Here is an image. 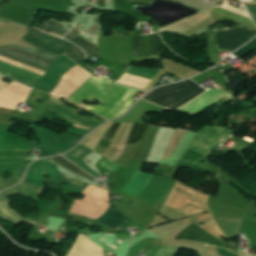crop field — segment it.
Masks as SVG:
<instances>
[{"instance_id": "obj_36", "label": "crop field", "mask_w": 256, "mask_h": 256, "mask_svg": "<svg viewBox=\"0 0 256 256\" xmlns=\"http://www.w3.org/2000/svg\"><path fill=\"white\" fill-rule=\"evenodd\" d=\"M0 21H4V22H7V23H11V24H12L11 21H7V20H4V19H0Z\"/></svg>"}, {"instance_id": "obj_34", "label": "crop field", "mask_w": 256, "mask_h": 256, "mask_svg": "<svg viewBox=\"0 0 256 256\" xmlns=\"http://www.w3.org/2000/svg\"><path fill=\"white\" fill-rule=\"evenodd\" d=\"M114 32H116V33H122V34H125V35H127V36L130 35V34H127V33H125V32L118 31V30H114Z\"/></svg>"}, {"instance_id": "obj_21", "label": "crop field", "mask_w": 256, "mask_h": 256, "mask_svg": "<svg viewBox=\"0 0 256 256\" xmlns=\"http://www.w3.org/2000/svg\"><path fill=\"white\" fill-rule=\"evenodd\" d=\"M64 54L71 58L77 64L85 60V55L83 51L74 45L70 49H68Z\"/></svg>"}, {"instance_id": "obj_29", "label": "crop field", "mask_w": 256, "mask_h": 256, "mask_svg": "<svg viewBox=\"0 0 256 256\" xmlns=\"http://www.w3.org/2000/svg\"><path fill=\"white\" fill-rule=\"evenodd\" d=\"M217 254L221 255V256H239L235 253H232V252H230L228 250H225V249H223L221 247H218V246H217Z\"/></svg>"}, {"instance_id": "obj_10", "label": "crop field", "mask_w": 256, "mask_h": 256, "mask_svg": "<svg viewBox=\"0 0 256 256\" xmlns=\"http://www.w3.org/2000/svg\"><path fill=\"white\" fill-rule=\"evenodd\" d=\"M93 153L92 150L86 148L83 145H79L75 150H73L71 153L65 155L68 159H70L72 162H74L76 165H78L80 168L85 170L86 172L90 173L94 177L98 178L100 177L98 174H96L92 169H90L82 160L86 158L88 155Z\"/></svg>"}, {"instance_id": "obj_22", "label": "crop field", "mask_w": 256, "mask_h": 256, "mask_svg": "<svg viewBox=\"0 0 256 256\" xmlns=\"http://www.w3.org/2000/svg\"><path fill=\"white\" fill-rule=\"evenodd\" d=\"M211 11L219 13V14L224 15L226 17H229V18H232L234 20H237V21H240V22H243V23H246L248 25L256 27L252 20L244 18V17L239 16L237 14L231 13L229 11L223 10L221 8L214 9V10H211Z\"/></svg>"}, {"instance_id": "obj_28", "label": "crop field", "mask_w": 256, "mask_h": 256, "mask_svg": "<svg viewBox=\"0 0 256 256\" xmlns=\"http://www.w3.org/2000/svg\"><path fill=\"white\" fill-rule=\"evenodd\" d=\"M120 124L117 123H113V125L111 126V128L109 129V131L106 133V135L104 136V139L110 140L112 141L115 133L117 132L118 128H119Z\"/></svg>"}, {"instance_id": "obj_37", "label": "crop field", "mask_w": 256, "mask_h": 256, "mask_svg": "<svg viewBox=\"0 0 256 256\" xmlns=\"http://www.w3.org/2000/svg\"><path fill=\"white\" fill-rule=\"evenodd\" d=\"M253 253H255L256 254V246H255V248H254V252Z\"/></svg>"}, {"instance_id": "obj_30", "label": "crop field", "mask_w": 256, "mask_h": 256, "mask_svg": "<svg viewBox=\"0 0 256 256\" xmlns=\"http://www.w3.org/2000/svg\"><path fill=\"white\" fill-rule=\"evenodd\" d=\"M88 2L105 8L106 4L108 3V0H88Z\"/></svg>"}, {"instance_id": "obj_8", "label": "crop field", "mask_w": 256, "mask_h": 256, "mask_svg": "<svg viewBox=\"0 0 256 256\" xmlns=\"http://www.w3.org/2000/svg\"><path fill=\"white\" fill-rule=\"evenodd\" d=\"M34 143L17 137L15 135L6 133L0 130V151L8 150H27L30 151L34 147Z\"/></svg>"}, {"instance_id": "obj_33", "label": "crop field", "mask_w": 256, "mask_h": 256, "mask_svg": "<svg viewBox=\"0 0 256 256\" xmlns=\"http://www.w3.org/2000/svg\"><path fill=\"white\" fill-rule=\"evenodd\" d=\"M41 149H43L44 151H46L47 153L51 154V155H57V153L49 150L48 148H46L45 146L39 147Z\"/></svg>"}, {"instance_id": "obj_6", "label": "crop field", "mask_w": 256, "mask_h": 256, "mask_svg": "<svg viewBox=\"0 0 256 256\" xmlns=\"http://www.w3.org/2000/svg\"><path fill=\"white\" fill-rule=\"evenodd\" d=\"M39 139L46 144L50 149L63 153L73 146H75L78 140L70 139L65 136H61L49 129L40 127L37 131Z\"/></svg>"}, {"instance_id": "obj_20", "label": "crop field", "mask_w": 256, "mask_h": 256, "mask_svg": "<svg viewBox=\"0 0 256 256\" xmlns=\"http://www.w3.org/2000/svg\"><path fill=\"white\" fill-rule=\"evenodd\" d=\"M36 22H40V20H36ZM45 22V24H47L46 26H43V25H41L40 24V26H42V28H40V29H43V30H45V31H47V30H50V31H52V33H55V34H59V35H62V36H64L66 33H67V30H65V28H64V26H63V24H59V23H56V24H54V23H52V22H47V21H44ZM36 27V26H35ZM34 27V28H35ZM37 28H39V27H37ZM39 29V30H40ZM42 30V31H43ZM51 33V34H52ZM55 34H53V35H55ZM59 35H55V36H58V37H62V36H59Z\"/></svg>"}, {"instance_id": "obj_7", "label": "crop field", "mask_w": 256, "mask_h": 256, "mask_svg": "<svg viewBox=\"0 0 256 256\" xmlns=\"http://www.w3.org/2000/svg\"><path fill=\"white\" fill-rule=\"evenodd\" d=\"M144 57H161L158 35L142 36ZM141 36H133L132 57H143Z\"/></svg>"}, {"instance_id": "obj_27", "label": "crop field", "mask_w": 256, "mask_h": 256, "mask_svg": "<svg viewBox=\"0 0 256 256\" xmlns=\"http://www.w3.org/2000/svg\"><path fill=\"white\" fill-rule=\"evenodd\" d=\"M82 27H83L82 24L76 23L73 26V28L70 30V32L64 37V39L70 41L76 34L79 33Z\"/></svg>"}, {"instance_id": "obj_1", "label": "crop field", "mask_w": 256, "mask_h": 256, "mask_svg": "<svg viewBox=\"0 0 256 256\" xmlns=\"http://www.w3.org/2000/svg\"><path fill=\"white\" fill-rule=\"evenodd\" d=\"M27 29L29 33L23 39L38 48L61 55L72 45V43L68 41L32 30L30 28ZM38 48L31 50L19 46L0 47V55L46 72L48 67L53 63V61L57 57H59V55ZM2 56H0L1 60L39 73L43 76L45 74V72L23 65L13 60L4 58Z\"/></svg>"}, {"instance_id": "obj_26", "label": "crop field", "mask_w": 256, "mask_h": 256, "mask_svg": "<svg viewBox=\"0 0 256 256\" xmlns=\"http://www.w3.org/2000/svg\"><path fill=\"white\" fill-rule=\"evenodd\" d=\"M255 49H256V39L254 41H252L250 44L241 48L234 55L240 58V57L244 56L245 54H247L248 52L255 50Z\"/></svg>"}, {"instance_id": "obj_3", "label": "crop field", "mask_w": 256, "mask_h": 256, "mask_svg": "<svg viewBox=\"0 0 256 256\" xmlns=\"http://www.w3.org/2000/svg\"><path fill=\"white\" fill-rule=\"evenodd\" d=\"M48 108L57 112L63 117L69 119L70 121L74 122L75 127H81L92 130L105 121L91 116H81L78 114V112H82V109L78 110L72 106L69 107L65 105L60 99L52 95L50 97Z\"/></svg>"}, {"instance_id": "obj_14", "label": "crop field", "mask_w": 256, "mask_h": 256, "mask_svg": "<svg viewBox=\"0 0 256 256\" xmlns=\"http://www.w3.org/2000/svg\"><path fill=\"white\" fill-rule=\"evenodd\" d=\"M40 191H41V188H38L36 186H33V185L23 181V183L21 185H19L18 187L11 189L9 191L3 192L1 194L3 195L2 197H4V198H6L5 196H7V195L23 194V195H26L28 197L38 200L37 197H38ZM7 200H9V199H7Z\"/></svg>"}, {"instance_id": "obj_15", "label": "crop field", "mask_w": 256, "mask_h": 256, "mask_svg": "<svg viewBox=\"0 0 256 256\" xmlns=\"http://www.w3.org/2000/svg\"><path fill=\"white\" fill-rule=\"evenodd\" d=\"M161 71V69H147V68H140V67H133L129 66L123 74L115 81L116 83L120 80V78L125 74H130L148 81H152L154 77ZM149 82V83H150ZM148 83V84H149ZM148 86V85H147ZM146 86V87H147ZM145 87V88H146Z\"/></svg>"}, {"instance_id": "obj_17", "label": "crop field", "mask_w": 256, "mask_h": 256, "mask_svg": "<svg viewBox=\"0 0 256 256\" xmlns=\"http://www.w3.org/2000/svg\"><path fill=\"white\" fill-rule=\"evenodd\" d=\"M54 162L74 173H77L83 177H86L90 180H95L94 178H92L90 175H88L86 172H84L82 169H80L79 167H77L76 165H74L72 162H70L69 160H67L66 158L59 156V157H54L53 158Z\"/></svg>"}, {"instance_id": "obj_24", "label": "crop field", "mask_w": 256, "mask_h": 256, "mask_svg": "<svg viewBox=\"0 0 256 256\" xmlns=\"http://www.w3.org/2000/svg\"><path fill=\"white\" fill-rule=\"evenodd\" d=\"M59 183H63V182H67L69 183V186L70 187H73V188H76V189H81L83 190L88 184L87 183H84L82 181H77V180H73V179H70L64 175H61L59 181Z\"/></svg>"}, {"instance_id": "obj_2", "label": "crop field", "mask_w": 256, "mask_h": 256, "mask_svg": "<svg viewBox=\"0 0 256 256\" xmlns=\"http://www.w3.org/2000/svg\"><path fill=\"white\" fill-rule=\"evenodd\" d=\"M190 80L158 88L145 99L161 106L178 109L205 91Z\"/></svg>"}, {"instance_id": "obj_5", "label": "crop field", "mask_w": 256, "mask_h": 256, "mask_svg": "<svg viewBox=\"0 0 256 256\" xmlns=\"http://www.w3.org/2000/svg\"><path fill=\"white\" fill-rule=\"evenodd\" d=\"M214 33L218 38V46L220 49H230V51H234L242 44L248 42L250 31L243 29H231L214 30Z\"/></svg>"}, {"instance_id": "obj_12", "label": "crop field", "mask_w": 256, "mask_h": 256, "mask_svg": "<svg viewBox=\"0 0 256 256\" xmlns=\"http://www.w3.org/2000/svg\"><path fill=\"white\" fill-rule=\"evenodd\" d=\"M151 177L152 175L150 174L136 172L132 181L123 189V191L136 197L149 183Z\"/></svg>"}, {"instance_id": "obj_4", "label": "crop field", "mask_w": 256, "mask_h": 256, "mask_svg": "<svg viewBox=\"0 0 256 256\" xmlns=\"http://www.w3.org/2000/svg\"><path fill=\"white\" fill-rule=\"evenodd\" d=\"M75 65L76 63L63 54L54 62L46 76L42 80L40 79L41 81L33 86V88L50 93L60 79L58 75H63Z\"/></svg>"}, {"instance_id": "obj_11", "label": "crop field", "mask_w": 256, "mask_h": 256, "mask_svg": "<svg viewBox=\"0 0 256 256\" xmlns=\"http://www.w3.org/2000/svg\"><path fill=\"white\" fill-rule=\"evenodd\" d=\"M48 160H50V158L42 159V160L36 162L35 164H33L28 171L25 181H27L33 185L43 187V185L45 183L46 175L41 166L44 163H46Z\"/></svg>"}, {"instance_id": "obj_16", "label": "crop field", "mask_w": 256, "mask_h": 256, "mask_svg": "<svg viewBox=\"0 0 256 256\" xmlns=\"http://www.w3.org/2000/svg\"><path fill=\"white\" fill-rule=\"evenodd\" d=\"M126 218L119 212L118 209L111 206L110 210L105 213L97 221L103 222L113 228L118 227Z\"/></svg>"}, {"instance_id": "obj_31", "label": "crop field", "mask_w": 256, "mask_h": 256, "mask_svg": "<svg viewBox=\"0 0 256 256\" xmlns=\"http://www.w3.org/2000/svg\"><path fill=\"white\" fill-rule=\"evenodd\" d=\"M47 183H49L51 185L50 188H52V189H58V190L61 189V185L51 179H48Z\"/></svg>"}, {"instance_id": "obj_19", "label": "crop field", "mask_w": 256, "mask_h": 256, "mask_svg": "<svg viewBox=\"0 0 256 256\" xmlns=\"http://www.w3.org/2000/svg\"><path fill=\"white\" fill-rule=\"evenodd\" d=\"M147 127L148 125L134 123L126 144H131L140 141Z\"/></svg>"}, {"instance_id": "obj_23", "label": "crop field", "mask_w": 256, "mask_h": 256, "mask_svg": "<svg viewBox=\"0 0 256 256\" xmlns=\"http://www.w3.org/2000/svg\"><path fill=\"white\" fill-rule=\"evenodd\" d=\"M23 172H24V170L23 171L14 172L13 173L14 174V178H13L12 181H10L8 179L5 180L3 178V176H2V174H0V191L2 189H4V188H7L9 186H12V185L18 183L20 178H21V176H22V174H23Z\"/></svg>"}, {"instance_id": "obj_32", "label": "crop field", "mask_w": 256, "mask_h": 256, "mask_svg": "<svg viewBox=\"0 0 256 256\" xmlns=\"http://www.w3.org/2000/svg\"><path fill=\"white\" fill-rule=\"evenodd\" d=\"M223 247L237 253V248L235 246L225 243Z\"/></svg>"}, {"instance_id": "obj_18", "label": "crop field", "mask_w": 256, "mask_h": 256, "mask_svg": "<svg viewBox=\"0 0 256 256\" xmlns=\"http://www.w3.org/2000/svg\"><path fill=\"white\" fill-rule=\"evenodd\" d=\"M71 42L79 45L87 55L100 53L98 46L82 39L77 35L71 40Z\"/></svg>"}, {"instance_id": "obj_13", "label": "crop field", "mask_w": 256, "mask_h": 256, "mask_svg": "<svg viewBox=\"0 0 256 256\" xmlns=\"http://www.w3.org/2000/svg\"><path fill=\"white\" fill-rule=\"evenodd\" d=\"M29 162L26 158H0V173L24 169Z\"/></svg>"}, {"instance_id": "obj_9", "label": "crop field", "mask_w": 256, "mask_h": 256, "mask_svg": "<svg viewBox=\"0 0 256 256\" xmlns=\"http://www.w3.org/2000/svg\"><path fill=\"white\" fill-rule=\"evenodd\" d=\"M48 94L36 91L32 89V92L26 103L36 107L37 109L31 112L28 116L29 121L40 123L44 120L45 110L48 101ZM39 99L46 100L41 104L36 103Z\"/></svg>"}, {"instance_id": "obj_35", "label": "crop field", "mask_w": 256, "mask_h": 256, "mask_svg": "<svg viewBox=\"0 0 256 256\" xmlns=\"http://www.w3.org/2000/svg\"><path fill=\"white\" fill-rule=\"evenodd\" d=\"M33 138H34V140H35V145H36V147H37V146H39V144H38V141H37L36 137L34 136Z\"/></svg>"}, {"instance_id": "obj_38", "label": "crop field", "mask_w": 256, "mask_h": 256, "mask_svg": "<svg viewBox=\"0 0 256 256\" xmlns=\"http://www.w3.org/2000/svg\"><path fill=\"white\" fill-rule=\"evenodd\" d=\"M2 4H3V3H2V2H0V7L2 6Z\"/></svg>"}, {"instance_id": "obj_25", "label": "crop field", "mask_w": 256, "mask_h": 256, "mask_svg": "<svg viewBox=\"0 0 256 256\" xmlns=\"http://www.w3.org/2000/svg\"><path fill=\"white\" fill-rule=\"evenodd\" d=\"M178 251V248L160 245L154 256H175Z\"/></svg>"}]
</instances>
